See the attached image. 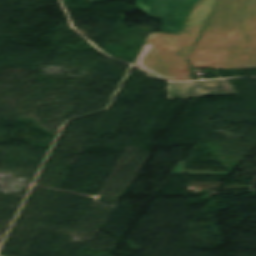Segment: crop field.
Listing matches in <instances>:
<instances>
[{"mask_svg": "<svg viewBox=\"0 0 256 256\" xmlns=\"http://www.w3.org/2000/svg\"><path fill=\"white\" fill-rule=\"evenodd\" d=\"M217 0H200L179 34L152 33L135 65L150 75L168 80H192L186 61Z\"/></svg>", "mask_w": 256, "mask_h": 256, "instance_id": "crop-field-2", "label": "crop field"}, {"mask_svg": "<svg viewBox=\"0 0 256 256\" xmlns=\"http://www.w3.org/2000/svg\"><path fill=\"white\" fill-rule=\"evenodd\" d=\"M199 0H137L138 7L148 15L163 17L162 31L179 33L192 7Z\"/></svg>", "mask_w": 256, "mask_h": 256, "instance_id": "crop-field-3", "label": "crop field"}, {"mask_svg": "<svg viewBox=\"0 0 256 256\" xmlns=\"http://www.w3.org/2000/svg\"><path fill=\"white\" fill-rule=\"evenodd\" d=\"M189 61L199 68H256V0H219Z\"/></svg>", "mask_w": 256, "mask_h": 256, "instance_id": "crop-field-1", "label": "crop field"}, {"mask_svg": "<svg viewBox=\"0 0 256 256\" xmlns=\"http://www.w3.org/2000/svg\"><path fill=\"white\" fill-rule=\"evenodd\" d=\"M91 3H94V2H98V1H103V0H89Z\"/></svg>", "mask_w": 256, "mask_h": 256, "instance_id": "crop-field-5", "label": "crop field"}, {"mask_svg": "<svg viewBox=\"0 0 256 256\" xmlns=\"http://www.w3.org/2000/svg\"><path fill=\"white\" fill-rule=\"evenodd\" d=\"M199 88L193 96L237 95L238 93L225 81H198ZM196 83H172V98L189 99Z\"/></svg>", "mask_w": 256, "mask_h": 256, "instance_id": "crop-field-4", "label": "crop field"}]
</instances>
